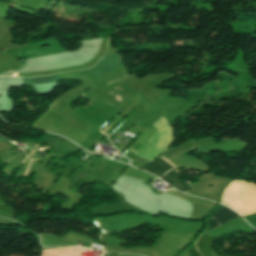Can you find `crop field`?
Here are the masks:
<instances>
[{"mask_svg": "<svg viewBox=\"0 0 256 256\" xmlns=\"http://www.w3.org/2000/svg\"><path fill=\"white\" fill-rule=\"evenodd\" d=\"M3 141V139L0 137V142Z\"/></svg>", "mask_w": 256, "mask_h": 256, "instance_id": "obj_7", "label": "crop field"}, {"mask_svg": "<svg viewBox=\"0 0 256 256\" xmlns=\"http://www.w3.org/2000/svg\"><path fill=\"white\" fill-rule=\"evenodd\" d=\"M239 217L237 214L229 210L228 208L222 206L219 211L212 217L208 222V230L212 228L219 227L224 223Z\"/></svg>", "mask_w": 256, "mask_h": 256, "instance_id": "obj_1", "label": "crop field"}, {"mask_svg": "<svg viewBox=\"0 0 256 256\" xmlns=\"http://www.w3.org/2000/svg\"><path fill=\"white\" fill-rule=\"evenodd\" d=\"M172 174H174L177 178L180 176L174 171H170ZM170 172L166 173L164 177L165 180L170 182L173 186H175L177 189L180 191H185V190H192L186 183H182L180 180H178L175 176H173Z\"/></svg>", "mask_w": 256, "mask_h": 256, "instance_id": "obj_4", "label": "crop field"}, {"mask_svg": "<svg viewBox=\"0 0 256 256\" xmlns=\"http://www.w3.org/2000/svg\"><path fill=\"white\" fill-rule=\"evenodd\" d=\"M57 80H58L57 74L52 76L37 77V78H23L24 84L42 83V82H50V81H57Z\"/></svg>", "mask_w": 256, "mask_h": 256, "instance_id": "obj_5", "label": "crop field"}, {"mask_svg": "<svg viewBox=\"0 0 256 256\" xmlns=\"http://www.w3.org/2000/svg\"><path fill=\"white\" fill-rule=\"evenodd\" d=\"M30 160H31V159H28L27 166H26V168L24 169V171H23V173H22L23 175L25 174V172H26V170H27V168H28V166H29Z\"/></svg>", "mask_w": 256, "mask_h": 256, "instance_id": "obj_6", "label": "crop field"}, {"mask_svg": "<svg viewBox=\"0 0 256 256\" xmlns=\"http://www.w3.org/2000/svg\"><path fill=\"white\" fill-rule=\"evenodd\" d=\"M118 60H119V57L116 54L102 57L97 62V64L94 67H92L91 69L80 70V71H87L92 74L98 75L104 71H107V70L117 66Z\"/></svg>", "mask_w": 256, "mask_h": 256, "instance_id": "obj_2", "label": "crop field"}, {"mask_svg": "<svg viewBox=\"0 0 256 256\" xmlns=\"http://www.w3.org/2000/svg\"><path fill=\"white\" fill-rule=\"evenodd\" d=\"M161 157L158 158L156 161L149 162L148 164L143 166L142 169L161 177L165 172L174 168L172 164L171 165L173 166V168L171 167V165H169L170 163L166 159L162 157L169 164L166 163Z\"/></svg>", "mask_w": 256, "mask_h": 256, "instance_id": "obj_3", "label": "crop field"}, {"mask_svg": "<svg viewBox=\"0 0 256 256\" xmlns=\"http://www.w3.org/2000/svg\"><path fill=\"white\" fill-rule=\"evenodd\" d=\"M130 152H132V151H130ZM132 153H134V154H135V152H132Z\"/></svg>", "mask_w": 256, "mask_h": 256, "instance_id": "obj_8", "label": "crop field"}]
</instances>
